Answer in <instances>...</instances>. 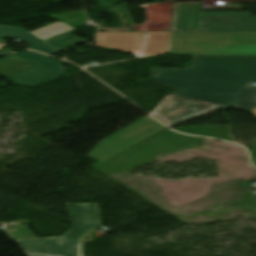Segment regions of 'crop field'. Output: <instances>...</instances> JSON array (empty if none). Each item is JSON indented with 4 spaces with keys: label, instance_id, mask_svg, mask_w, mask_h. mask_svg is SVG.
<instances>
[{
    "label": "crop field",
    "instance_id": "ac0d7876",
    "mask_svg": "<svg viewBox=\"0 0 256 256\" xmlns=\"http://www.w3.org/2000/svg\"><path fill=\"white\" fill-rule=\"evenodd\" d=\"M170 56H256V33H173Z\"/></svg>",
    "mask_w": 256,
    "mask_h": 256
},
{
    "label": "crop field",
    "instance_id": "d8731c3e",
    "mask_svg": "<svg viewBox=\"0 0 256 256\" xmlns=\"http://www.w3.org/2000/svg\"><path fill=\"white\" fill-rule=\"evenodd\" d=\"M144 33H99L96 46L109 47L140 55Z\"/></svg>",
    "mask_w": 256,
    "mask_h": 256
},
{
    "label": "crop field",
    "instance_id": "f4fd0767",
    "mask_svg": "<svg viewBox=\"0 0 256 256\" xmlns=\"http://www.w3.org/2000/svg\"><path fill=\"white\" fill-rule=\"evenodd\" d=\"M152 119L144 117L138 122L120 130L115 135L101 141L88 156L104 161L166 129L163 125Z\"/></svg>",
    "mask_w": 256,
    "mask_h": 256
},
{
    "label": "crop field",
    "instance_id": "34b2d1b8",
    "mask_svg": "<svg viewBox=\"0 0 256 256\" xmlns=\"http://www.w3.org/2000/svg\"><path fill=\"white\" fill-rule=\"evenodd\" d=\"M69 218L74 222L63 237H42L17 240L29 253L81 256L80 243L89 229L101 226L98 206L67 204Z\"/></svg>",
    "mask_w": 256,
    "mask_h": 256
},
{
    "label": "crop field",
    "instance_id": "3316defc",
    "mask_svg": "<svg viewBox=\"0 0 256 256\" xmlns=\"http://www.w3.org/2000/svg\"><path fill=\"white\" fill-rule=\"evenodd\" d=\"M2 37H17L19 39H22V40L32 43L27 48H31V47H34L37 45L44 44L43 41L36 38L33 34H31L26 29H22V28H18V27L0 26V39Z\"/></svg>",
    "mask_w": 256,
    "mask_h": 256
},
{
    "label": "crop field",
    "instance_id": "8a807250",
    "mask_svg": "<svg viewBox=\"0 0 256 256\" xmlns=\"http://www.w3.org/2000/svg\"><path fill=\"white\" fill-rule=\"evenodd\" d=\"M152 79L174 94L245 112L256 109V57H194L189 69H152Z\"/></svg>",
    "mask_w": 256,
    "mask_h": 256
},
{
    "label": "crop field",
    "instance_id": "5142ce71",
    "mask_svg": "<svg viewBox=\"0 0 256 256\" xmlns=\"http://www.w3.org/2000/svg\"><path fill=\"white\" fill-rule=\"evenodd\" d=\"M16 52H8V53H0V55H13L15 54Z\"/></svg>",
    "mask_w": 256,
    "mask_h": 256
},
{
    "label": "crop field",
    "instance_id": "e52e79f7",
    "mask_svg": "<svg viewBox=\"0 0 256 256\" xmlns=\"http://www.w3.org/2000/svg\"><path fill=\"white\" fill-rule=\"evenodd\" d=\"M0 71V75L11 82L24 86L32 85L30 87L57 79L50 70L15 56L0 60Z\"/></svg>",
    "mask_w": 256,
    "mask_h": 256
},
{
    "label": "crop field",
    "instance_id": "28ad6ade",
    "mask_svg": "<svg viewBox=\"0 0 256 256\" xmlns=\"http://www.w3.org/2000/svg\"><path fill=\"white\" fill-rule=\"evenodd\" d=\"M74 31H76V30H73V31H70V32H67V33H64V34H61V35H57V36L45 39V43H47L49 41H52V40H55V39H58V38H62V37L71 35L72 32H74ZM86 42H88L87 39L81 40L78 37L72 35V36H69L67 38H64V39L55 41L53 43H50L49 45L52 46L54 49H56L58 51H62V50H66V49L72 48L74 46L86 43Z\"/></svg>",
    "mask_w": 256,
    "mask_h": 256
},
{
    "label": "crop field",
    "instance_id": "733c2abd",
    "mask_svg": "<svg viewBox=\"0 0 256 256\" xmlns=\"http://www.w3.org/2000/svg\"><path fill=\"white\" fill-rule=\"evenodd\" d=\"M253 113H254V115H255V117H256V110H255V111H253Z\"/></svg>",
    "mask_w": 256,
    "mask_h": 256
},
{
    "label": "crop field",
    "instance_id": "412701ff",
    "mask_svg": "<svg viewBox=\"0 0 256 256\" xmlns=\"http://www.w3.org/2000/svg\"><path fill=\"white\" fill-rule=\"evenodd\" d=\"M201 4H179L175 31H256V17L241 12H200Z\"/></svg>",
    "mask_w": 256,
    "mask_h": 256
},
{
    "label": "crop field",
    "instance_id": "5a996713",
    "mask_svg": "<svg viewBox=\"0 0 256 256\" xmlns=\"http://www.w3.org/2000/svg\"><path fill=\"white\" fill-rule=\"evenodd\" d=\"M170 33H148L143 56L165 53L168 51Z\"/></svg>",
    "mask_w": 256,
    "mask_h": 256
},
{
    "label": "crop field",
    "instance_id": "cbeb9de0",
    "mask_svg": "<svg viewBox=\"0 0 256 256\" xmlns=\"http://www.w3.org/2000/svg\"><path fill=\"white\" fill-rule=\"evenodd\" d=\"M36 51H40V52H44V53H48V54H52L54 52H56L53 48H51L49 45L45 44L41 47H38L36 49H33Z\"/></svg>",
    "mask_w": 256,
    "mask_h": 256
},
{
    "label": "crop field",
    "instance_id": "d9b57169",
    "mask_svg": "<svg viewBox=\"0 0 256 256\" xmlns=\"http://www.w3.org/2000/svg\"><path fill=\"white\" fill-rule=\"evenodd\" d=\"M83 205H98V204H83Z\"/></svg>",
    "mask_w": 256,
    "mask_h": 256
},
{
    "label": "crop field",
    "instance_id": "dd49c442",
    "mask_svg": "<svg viewBox=\"0 0 256 256\" xmlns=\"http://www.w3.org/2000/svg\"><path fill=\"white\" fill-rule=\"evenodd\" d=\"M223 106L178 97H166L162 105L151 115L168 127L219 111Z\"/></svg>",
    "mask_w": 256,
    "mask_h": 256
},
{
    "label": "crop field",
    "instance_id": "22f410ed",
    "mask_svg": "<svg viewBox=\"0 0 256 256\" xmlns=\"http://www.w3.org/2000/svg\"><path fill=\"white\" fill-rule=\"evenodd\" d=\"M120 8H121V10H122V12H123V14H124L128 24L129 25H135V22H134V20H133V18L131 16L127 6L126 5L125 6H121Z\"/></svg>",
    "mask_w": 256,
    "mask_h": 256
},
{
    "label": "crop field",
    "instance_id": "d1516ede",
    "mask_svg": "<svg viewBox=\"0 0 256 256\" xmlns=\"http://www.w3.org/2000/svg\"><path fill=\"white\" fill-rule=\"evenodd\" d=\"M16 56L36 61V62L54 70L55 72H57L59 74H64L63 66L60 63H57V62H54V61L48 59L47 56H44V55H41V54H38L35 52H31V51H26V52L18 54Z\"/></svg>",
    "mask_w": 256,
    "mask_h": 256
}]
</instances>
